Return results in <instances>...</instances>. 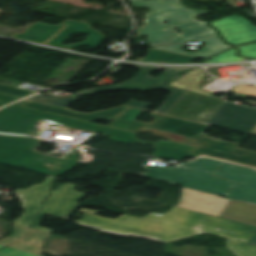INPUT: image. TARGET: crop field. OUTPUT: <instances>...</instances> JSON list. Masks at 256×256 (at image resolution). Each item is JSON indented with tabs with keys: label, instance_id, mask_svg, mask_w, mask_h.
Instances as JSON below:
<instances>
[{
	"label": "crop field",
	"instance_id": "1",
	"mask_svg": "<svg viewBox=\"0 0 256 256\" xmlns=\"http://www.w3.org/2000/svg\"><path fill=\"white\" fill-rule=\"evenodd\" d=\"M80 212L85 214L78 221L80 225L106 233L140 237L164 244L202 232L211 233L227 238L228 247L237 256H256V247L246 245L256 227L214 216L175 207L164 215L150 214L142 219L122 215L114 220L95 216L97 211L82 209Z\"/></svg>",
	"mask_w": 256,
	"mask_h": 256
},
{
	"label": "crop field",
	"instance_id": "2",
	"mask_svg": "<svg viewBox=\"0 0 256 256\" xmlns=\"http://www.w3.org/2000/svg\"><path fill=\"white\" fill-rule=\"evenodd\" d=\"M130 1L133 3L135 8L148 7L151 9V13L146 15V24L138 30V34L148 36L147 42L152 45L194 40L205 42L206 46L215 48L231 47L224 44L217 37L214 30L205 26V22H199L194 18L196 15L209 13L206 10H190L183 6L180 3V0ZM166 13H169V15H166ZM164 21H168L170 23L165 24L163 23ZM175 27H178L182 32L180 34H176ZM154 48L196 56L202 59H207L226 50L203 47L196 53H189L183 51V44Z\"/></svg>",
	"mask_w": 256,
	"mask_h": 256
},
{
	"label": "crop field",
	"instance_id": "3",
	"mask_svg": "<svg viewBox=\"0 0 256 256\" xmlns=\"http://www.w3.org/2000/svg\"><path fill=\"white\" fill-rule=\"evenodd\" d=\"M219 165L222 167L214 175L237 182L229 194L227 192L235 183L211 176ZM147 169L163 171V175L171 181L185 187L256 204V174L253 169L205 157L198 162L179 164L174 167L148 166Z\"/></svg>",
	"mask_w": 256,
	"mask_h": 256
},
{
	"label": "crop field",
	"instance_id": "4",
	"mask_svg": "<svg viewBox=\"0 0 256 256\" xmlns=\"http://www.w3.org/2000/svg\"><path fill=\"white\" fill-rule=\"evenodd\" d=\"M67 24L70 25L47 44L74 50L83 45L98 48L101 45V43L105 40V35L91 28V24L71 20H67L62 25H49L35 22L23 34H16L13 37L43 43L49 40L51 37H53ZM73 33H86L90 35L86 39V41L82 43L70 46L62 44V42L68 40L69 36Z\"/></svg>",
	"mask_w": 256,
	"mask_h": 256
},
{
	"label": "crop field",
	"instance_id": "5",
	"mask_svg": "<svg viewBox=\"0 0 256 256\" xmlns=\"http://www.w3.org/2000/svg\"><path fill=\"white\" fill-rule=\"evenodd\" d=\"M140 68V72L135 74L134 78L128 82L117 84L113 86L120 87L124 90H143L155 83L157 85L153 86L147 91H154L159 88L168 89L172 91V95L165 101V103L159 107L154 112L166 114L171 107L181 98V96L185 93V91L178 90L172 87L164 86L170 81L174 80L181 74L185 73L189 69L186 68H163V67H142ZM155 69H166L167 72L157 78H151L150 75Z\"/></svg>",
	"mask_w": 256,
	"mask_h": 256
},
{
	"label": "crop field",
	"instance_id": "6",
	"mask_svg": "<svg viewBox=\"0 0 256 256\" xmlns=\"http://www.w3.org/2000/svg\"><path fill=\"white\" fill-rule=\"evenodd\" d=\"M28 101H30V100L25 99L16 104L19 105L21 103L28 102ZM23 106L41 110V111H45V112L59 114L62 116H68V117H73V118H77V119H81V120H86V121L95 120V119H111V118L115 117L117 114H119L121 111H123L125 108H127V106H121V107H118V108H115L112 110L99 112V113H95V114H82V113L69 111L63 107H57V106H53V105H49V104H45V103H41V102H34V101H32L26 105H23ZM110 127L127 130V131H131V132L149 130L156 135L166 137L175 142H177L180 138L183 137V135H179V134H175V133H171V132H167V131H163V130H159V129L144 127V126H140V125H135V124L127 123V122H122V121H118V120H115L110 125Z\"/></svg>",
	"mask_w": 256,
	"mask_h": 256
},
{
	"label": "crop field",
	"instance_id": "7",
	"mask_svg": "<svg viewBox=\"0 0 256 256\" xmlns=\"http://www.w3.org/2000/svg\"><path fill=\"white\" fill-rule=\"evenodd\" d=\"M222 103L223 100L186 92L167 114L206 123Z\"/></svg>",
	"mask_w": 256,
	"mask_h": 256
},
{
	"label": "crop field",
	"instance_id": "8",
	"mask_svg": "<svg viewBox=\"0 0 256 256\" xmlns=\"http://www.w3.org/2000/svg\"><path fill=\"white\" fill-rule=\"evenodd\" d=\"M207 123L248 133L256 126V108L224 101Z\"/></svg>",
	"mask_w": 256,
	"mask_h": 256
},
{
	"label": "crop field",
	"instance_id": "9",
	"mask_svg": "<svg viewBox=\"0 0 256 256\" xmlns=\"http://www.w3.org/2000/svg\"><path fill=\"white\" fill-rule=\"evenodd\" d=\"M38 118L48 119L53 122L60 123L62 125L79 128L83 130H90V131H96V132L102 131L106 134L113 135L114 137L112 139L119 142H125V143L143 142L134 138L135 133L117 130V129H113L105 126H99V125L91 124L89 122H85V121H81L73 118L61 117L55 114H50V115H46ZM144 143H148V142H144ZM150 144H153V143H150ZM154 145L162 146L165 148H172V149L185 151L189 153H193L197 149L196 147L183 145L175 142L160 141Z\"/></svg>",
	"mask_w": 256,
	"mask_h": 256
},
{
	"label": "crop field",
	"instance_id": "10",
	"mask_svg": "<svg viewBox=\"0 0 256 256\" xmlns=\"http://www.w3.org/2000/svg\"><path fill=\"white\" fill-rule=\"evenodd\" d=\"M75 187L76 186L70 184H62L59 185L57 190L52 191L32 228L51 233L52 230L42 228L38 225L41 221L42 215L45 213L51 214L50 212L52 211L54 212L52 215L68 218L78 206V199L84 196V193L76 192L74 190Z\"/></svg>",
	"mask_w": 256,
	"mask_h": 256
},
{
	"label": "crop field",
	"instance_id": "11",
	"mask_svg": "<svg viewBox=\"0 0 256 256\" xmlns=\"http://www.w3.org/2000/svg\"><path fill=\"white\" fill-rule=\"evenodd\" d=\"M45 114L49 113L10 105L0 110V133L38 137L39 134L32 132L31 125L38 120L35 117Z\"/></svg>",
	"mask_w": 256,
	"mask_h": 256
},
{
	"label": "crop field",
	"instance_id": "12",
	"mask_svg": "<svg viewBox=\"0 0 256 256\" xmlns=\"http://www.w3.org/2000/svg\"><path fill=\"white\" fill-rule=\"evenodd\" d=\"M41 140L22 136L0 135V162L44 173L50 168L20 164L15 157L32 150Z\"/></svg>",
	"mask_w": 256,
	"mask_h": 256
},
{
	"label": "crop field",
	"instance_id": "13",
	"mask_svg": "<svg viewBox=\"0 0 256 256\" xmlns=\"http://www.w3.org/2000/svg\"><path fill=\"white\" fill-rule=\"evenodd\" d=\"M231 199L182 188L181 200L176 207L219 217Z\"/></svg>",
	"mask_w": 256,
	"mask_h": 256
},
{
	"label": "crop field",
	"instance_id": "14",
	"mask_svg": "<svg viewBox=\"0 0 256 256\" xmlns=\"http://www.w3.org/2000/svg\"><path fill=\"white\" fill-rule=\"evenodd\" d=\"M224 38L234 45L245 44L256 41V26L248 20L231 16L211 22Z\"/></svg>",
	"mask_w": 256,
	"mask_h": 256
},
{
	"label": "crop field",
	"instance_id": "15",
	"mask_svg": "<svg viewBox=\"0 0 256 256\" xmlns=\"http://www.w3.org/2000/svg\"><path fill=\"white\" fill-rule=\"evenodd\" d=\"M52 179L53 177H48L42 184H36L29 189L14 191L23 201V208L26 209L22 217L14 221L15 224L29 227L50 190Z\"/></svg>",
	"mask_w": 256,
	"mask_h": 256
},
{
	"label": "crop field",
	"instance_id": "16",
	"mask_svg": "<svg viewBox=\"0 0 256 256\" xmlns=\"http://www.w3.org/2000/svg\"><path fill=\"white\" fill-rule=\"evenodd\" d=\"M78 156L77 154L70 152L64 159L39 153L34 148L29 153L17 157V160L21 163L28 165H40L46 166L45 164H51L47 167H66L71 164L76 165Z\"/></svg>",
	"mask_w": 256,
	"mask_h": 256
},
{
	"label": "crop field",
	"instance_id": "17",
	"mask_svg": "<svg viewBox=\"0 0 256 256\" xmlns=\"http://www.w3.org/2000/svg\"><path fill=\"white\" fill-rule=\"evenodd\" d=\"M222 217L256 225V205L233 200Z\"/></svg>",
	"mask_w": 256,
	"mask_h": 256
},
{
	"label": "crop field",
	"instance_id": "18",
	"mask_svg": "<svg viewBox=\"0 0 256 256\" xmlns=\"http://www.w3.org/2000/svg\"><path fill=\"white\" fill-rule=\"evenodd\" d=\"M50 237V233H45L37 230L30 229L28 235L17 240L15 243L10 245L17 249L25 250L35 254L41 255V248L46 239Z\"/></svg>",
	"mask_w": 256,
	"mask_h": 256
},
{
	"label": "crop field",
	"instance_id": "19",
	"mask_svg": "<svg viewBox=\"0 0 256 256\" xmlns=\"http://www.w3.org/2000/svg\"><path fill=\"white\" fill-rule=\"evenodd\" d=\"M203 75H205L203 70L193 69L189 73H187L185 76L177 79L176 81H174V82H172L168 85L175 86V87L185 89V90H188V91H192V92H196V93L211 96L210 93L205 92V91H201L198 88L199 80L201 79V77Z\"/></svg>",
	"mask_w": 256,
	"mask_h": 256
},
{
	"label": "crop field",
	"instance_id": "20",
	"mask_svg": "<svg viewBox=\"0 0 256 256\" xmlns=\"http://www.w3.org/2000/svg\"><path fill=\"white\" fill-rule=\"evenodd\" d=\"M195 59L196 57L175 54V53H170V52L149 48V53L144 60H152V61H160V62H168V63H190Z\"/></svg>",
	"mask_w": 256,
	"mask_h": 256
},
{
	"label": "crop field",
	"instance_id": "21",
	"mask_svg": "<svg viewBox=\"0 0 256 256\" xmlns=\"http://www.w3.org/2000/svg\"><path fill=\"white\" fill-rule=\"evenodd\" d=\"M154 148L157 149L154 154V156H156V157H165V158L181 160L186 156H192V157L198 156V155L180 152V151H176V150H172V149H164V148L157 147V146H155Z\"/></svg>",
	"mask_w": 256,
	"mask_h": 256
},
{
	"label": "crop field",
	"instance_id": "22",
	"mask_svg": "<svg viewBox=\"0 0 256 256\" xmlns=\"http://www.w3.org/2000/svg\"><path fill=\"white\" fill-rule=\"evenodd\" d=\"M236 49L233 48L231 50H228L222 54H219L204 63H222V62H232V61H242V60H249L245 58H240L236 55Z\"/></svg>",
	"mask_w": 256,
	"mask_h": 256
},
{
	"label": "crop field",
	"instance_id": "23",
	"mask_svg": "<svg viewBox=\"0 0 256 256\" xmlns=\"http://www.w3.org/2000/svg\"><path fill=\"white\" fill-rule=\"evenodd\" d=\"M0 93L23 98V97L33 94L34 92H30V91H26V90H22V89H18V88L0 84Z\"/></svg>",
	"mask_w": 256,
	"mask_h": 256
},
{
	"label": "crop field",
	"instance_id": "24",
	"mask_svg": "<svg viewBox=\"0 0 256 256\" xmlns=\"http://www.w3.org/2000/svg\"><path fill=\"white\" fill-rule=\"evenodd\" d=\"M12 229H13L12 234L3 240H0V244L6 245L16 240L18 237L25 234L28 228L13 224Z\"/></svg>",
	"mask_w": 256,
	"mask_h": 256
},
{
	"label": "crop field",
	"instance_id": "25",
	"mask_svg": "<svg viewBox=\"0 0 256 256\" xmlns=\"http://www.w3.org/2000/svg\"><path fill=\"white\" fill-rule=\"evenodd\" d=\"M3 247V245L0 246V249ZM0 256H39L32 253L24 252L21 250H17L14 248L7 247L0 251Z\"/></svg>",
	"mask_w": 256,
	"mask_h": 256
},
{
	"label": "crop field",
	"instance_id": "26",
	"mask_svg": "<svg viewBox=\"0 0 256 256\" xmlns=\"http://www.w3.org/2000/svg\"><path fill=\"white\" fill-rule=\"evenodd\" d=\"M238 49L240 50V55L256 58V44L238 47ZM248 51H252V53L248 54Z\"/></svg>",
	"mask_w": 256,
	"mask_h": 256
},
{
	"label": "crop field",
	"instance_id": "27",
	"mask_svg": "<svg viewBox=\"0 0 256 256\" xmlns=\"http://www.w3.org/2000/svg\"><path fill=\"white\" fill-rule=\"evenodd\" d=\"M115 90H122V89L117 88V87H113V86H108V87L92 88L90 90L79 92V93H76V94L83 95V94H91V93H95V92L115 91Z\"/></svg>",
	"mask_w": 256,
	"mask_h": 256
},
{
	"label": "crop field",
	"instance_id": "28",
	"mask_svg": "<svg viewBox=\"0 0 256 256\" xmlns=\"http://www.w3.org/2000/svg\"><path fill=\"white\" fill-rule=\"evenodd\" d=\"M143 175L151 177V178L166 180L168 182H171L169 179H167L165 176L162 175V172L148 170V172ZM171 183H173V182H171Z\"/></svg>",
	"mask_w": 256,
	"mask_h": 256
},
{
	"label": "crop field",
	"instance_id": "29",
	"mask_svg": "<svg viewBox=\"0 0 256 256\" xmlns=\"http://www.w3.org/2000/svg\"><path fill=\"white\" fill-rule=\"evenodd\" d=\"M74 166H69V167H66V168H52L50 169L49 171H47L45 174H48V175H53V176H57L71 168H73Z\"/></svg>",
	"mask_w": 256,
	"mask_h": 256
},
{
	"label": "crop field",
	"instance_id": "30",
	"mask_svg": "<svg viewBox=\"0 0 256 256\" xmlns=\"http://www.w3.org/2000/svg\"><path fill=\"white\" fill-rule=\"evenodd\" d=\"M126 105H127V106H133V107H137V108H141V109L146 110L150 104H149V103H144V102H139V101L131 100V101L128 102Z\"/></svg>",
	"mask_w": 256,
	"mask_h": 256
},
{
	"label": "crop field",
	"instance_id": "31",
	"mask_svg": "<svg viewBox=\"0 0 256 256\" xmlns=\"http://www.w3.org/2000/svg\"><path fill=\"white\" fill-rule=\"evenodd\" d=\"M17 99H19V98L4 95V94H0V106L5 105V104L10 103V102H13Z\"/></svg>",
	"mask_w": 256,
	"mask_h": 256
},
{
	"label": "crop field",
	"instance_id": "32",
	"mask_svg": "<svg viewBox=\"0 0 256 256\" xmlns=\"http://www.w3.org/2000/svg\"><path fill=\"white\" fill-rule=\"evenodd\" d=\"M249 243L256 245V233L254 234V236L252 237V239Z\"/></svg>",
	"mask_w": 256,
	"mask_h": 256
},
{
	"label": "crop field",
	"instance_id": "33",
	"mask_svg": "<svg viewBox=\"0 0 256 256\" xmlns=\"http://www.w3.org/2000/svg\"><path fill=\"white\" fill-rule=\"evenodd\" d=\"M199 1H229V0H199Z\"/></svg>",
	"mask_w": 256,
	"mask_h": 256
},
{
	"label": "crop field",
	"instance_id": "34",
	"mask_svg": "<svg viewBox=\"0 0 256 256\" xmlns=\"http://www.w3.org/2000/svg\"><path fill=\"white\" fill-rule=\"evenodd\" d=\"M252 135H256V129L251 132Z\"/></svg>",
	"mask_w": 256,
	"mask_h": 256
},
{
	"label": "crop field",
	"instance_id": "35",
	"mask_svg": "<svg viewBox=\"0 0 256 256\" xmlns=\"http://www.w3.org/2000/svg\"><path fill=\"white\" fill-rule=\"evenodd\" d=\"M140 61H143V60H140ZM147 62H151V61H147Z\"/></svg>",
	"mask_w": 256,
	"mask_h": 256
}]
</instances>
